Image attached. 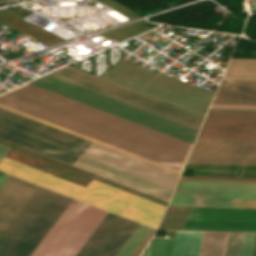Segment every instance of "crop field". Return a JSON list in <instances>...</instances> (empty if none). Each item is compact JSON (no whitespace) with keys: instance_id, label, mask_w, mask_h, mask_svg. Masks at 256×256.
<instances>
[{"instance_id":"crop-field-1","label":"crop field","mask_w":256,"mask_h":256,"mask_svg":"<svg viewBox=\"0 0 256 256\" xmlns=\"http://www.w3.org/2000/svg\"><path fill=\"white\" fill-rule=\"evenodd\" d=\"M0 103L178 170L181 167L183 159L190 145L189 143L183 142L181 140L175 139L173 137L167 136L165 134L159 133L157 131L151 130L149 128L143 127L141 125L135 124L133 122L127 121L125 119L76 102L31 84H28L0 97ZM1 104L0 107L7 110L70 132L125 154L147 161L154 165L176 172L178 174L182 169L181 167L180 171L175 170L173 168L132 154L130 152L124 151L122 149L81 135L79 133L38 119ZM191 146L192 145H190L189 150Z\"/></svg>"},{"instance_id":"crop-field-2","label":"crop field","mask_w":256,"mask_h":256,"mask_svg":"<svg viewBox=\"0 0 256 256\" xmlns=\"http://www.w3.org/2000/svg\"><path fill=\"white\" fill-rule=\"evenodd\" d=\"M71 201L40 187L0 239V256H30ZM106 214L73 200L31 256H75ZM124 220L108 213L76 256H98Z\"/></svg>"},{"instance_id":"crop-field-3","label":"crop field","mask_w":256,"mask_h":256,"mask_svg":"<svg viewBox=\"0 0 256 256\" xmlns=\"http://www.w3.org/2000/svg\"><path fill=\"white\" fill-rule=\"evenodd\" d=\"M49 74L197 130L204 119V117L201 115L171 105L71 66H67ZM49 74L29 83L184 140L191 144L193 143L198 132L195 129L149 113Z\"/></svg>"},{"instance_id":"crop-field-4","label":"crop field","mask_w":256,"mask_h":256,"mask_svg":"<svg viewBox=\"0 0 256 256\" xmlns=\"http://www.w3.org/2000/svg\"><path fill=\"white\" fill-rule=\"evenodd\" d=\"M216 97L256 99V82L222 81ZM213 103L256 104V100L214 99ZM234 104L212 106L256 107ZM228 107H211L198 137L256 139V108ZM215 138H197L193 150L256 153V140ZM209 152H192L187 163L256 165V154Z\"/></svg>"},{"instance_id":"crop-field-5","label":"crop field","mask_w":256,"mask_h":256,"mask_svg":"<svg viewBox=\"0 0 256 256\" xmlns=\"http://www.w3.org/2000/svg\"><path fill=\"white\" fill-rule=\"evenodd\" d=\"M0 170L155 229L166 208L92 179L82 187L5 158Z\"/></svg>"},{"instance_id":"crop-field-6","label":"crop field","mask_w":256,"mask_h":256,"mask_svg":"<svg viewBox=\"0 0 256 256\" xmlns=\"http://www.w3.org/2000/svg\"><path fill=\"white\" fill-rule=\"evenodd\" d=\"M73 166L167 201L179 176L93 142Z\"/></svg>"},{"instance_id":"crop-field-7","label":"crop field","mask_w":256,"mask_h":256,"mask_svg":"<svg viewBox=\"0 0 256 256\" xmlns=\"http://www.w3.org/2000/svg\"><path fill=\"white\" fill-rule=\"evenodd\" d=\"M0 139L70 165L91 143L2 108Z\"/></svg>"},{"instance_id":"crop-field-8","label":"crop field","mask_w":256,"mask_h":256,"mask_svg":"<svg viewBox=\"0 0 256 256\" xmlns=\"http://www.w3.org/2000/svg\"><path fill=\"white\" fill-rule=\"evenodd\" d=\"M103 78L205 115L214 93L124 60Z\"/></svg>"},{"instance_id":"crop-field-9","label":"crop field","mask_w":256,"mask_h":256,"mask_svg":"<svg viewBox=\"0 0 256 256\" xmlns=\"http://www.w3.org/2000/svg\"><path fill=\"white\" fill-rule=\"evenodd\" d=\"M168 206L256 209V181L180 178Z\"/></svg>"},{"instance_id":"crop-field-10","label":"crop field","mask_w":256,"mask_h":256,"mask_svg":"<svg viewBox=\"0 0 256 256\" xmlns=\"http://www.w3.org/2000/svg\"><path fill=\"white\" fill-rule=\"evenodd\" d=\"M188 218L256 220V210L192 208ZM188 219L184 230L256 232V221Z\"/></svg>"},{"instance_id":"crop-field-11","label":"crop field","mask_w":256,"mask_h":256,"mask_svg":"<svg viewBox=\"0 0 256 256\" xmlns=\"http://www.w3.org/2000/svg\"><path fill=\"white\" fill-rule=\"evenodd\" d=\"M36 190L7 180L0 189V238Z\"/></svg>"},{"instance_id":"crop-field-12","label":"crop field","mask_w":256,"mask_h":256,"mask_svg":"<svg viewBox=\"0 0 256 256\" xmlns=\"http://www.w3.org/2000/svg\"><path fill=\"white\" fill-rule=\"evenodd\" d=\"M203 232L176 231L171 256H198Z\"/></svg>"},{"instance_id":"crop-field-13","label":"crop field","mask_w":256,"mask_h":256,"mask_svg":"<svg viewBox=\"0 0 256 256\" xmlns=\"http://www.w3.org/2000/svg\"><path fill=\"white\" fill-rule=\"evenodd\" d=\"M138 226L139 224L126 219L99 256H115Z\"/></svg>"},{"instance_id":"crop-field-14","label":"crop field","mask_w":256,"mask_h":256,"mask_svg":"<svg viewBox=\"0 0 256 256\" xmlns=\"http://www.w3.org/2000/svg\"><path fill=\"white\" fill-rule=\"evenodd\" d=\"M228 233L204 232L199 256H223Z\"/></svg>"},{"instance_id":"crop-field-15","label":"crop field","mask_w":256,"mask_h":256,"mask_svg":"<svg viewBox=\"0 0 256 256\" xmlns=\"http://www.w3.org/2000/svg\"><path fill=\"white\" fill-rule=\"evenodd\" d=\"M151 230L152 228L140 225L117 256H132Z\"/></svg>"},{"instance_id":"crop-field-16","label":"crop field","mask_w":256,"mask_h":256,"mask_svg":"<svg viewBox=\"0 0 256 256\" xmlns=\"http://www.w3.org/2000/svg\"><path fill=\"white\" fill-rule=\"evenodd\" d=\"M173 240L154 238L151 256H170Z\"/></svg>"},{"instance_id":"crop-field-17","label":"crop field","mask_w":256,"mask_h":256,"mask_svg":"<svg viewBox=\"0 0 256 256\" xmlns=\"http://www.w3.org/2000/svg\"><path fill=\"white\" fill-rule=\"evenodd\" d=\"M243 233H229L225 255L238 256Z\"/></svg>"},{"instance_id":"crop-field-18","label":"crop field","mask_w":256,"mask_h":256,"mask_svg":"<svg viewBox=\"0 0 256 256\" xmlns=\"http://www.w3.org/2000/svg\"><path fill=\"white\" fill-rule=\"evenodd\" d=\"M256 234L244 233L239 256H253Z\"/></svg>"},{"instance_id":"crop-field-19","label":"crop field","mask_w":256,"mask_h":256,"mask_svg":"<svg viewBox=\"0 0 256 256\" xmlns=\"http://www.w3.org/2000/svg\"><path fill=\"white\" fill-rule=\"evenodd\" d=\"M9 175H6L4 173L0 172V188L5 183V181L8 179Z\"/></svg>"},{"instance_id":"crop-field-20","label":"crop field","mask_w":256,"mask_h":256,"mask_svg":"<svg viewBox=\"0 0 256 256\" xmlns=\"http://www.w3.org/2000/svg\"><path fill=\"white\" fill-rule=\"evenodd\" d=\"M152 240H153V238H152ZM152 240H151L149 246L147 245L148 246L147 249L145 248L146 250L144 251V253L141 256H150Z\"/></svg>"},{"instance_id":"crop-field-21","label":"crop field","mask_w":256,"mask_h":256,"mask_svg":"<svg viewBox=\"0 0 256 256\" xmlns=\"http://www.w3.org/2000/svg\"><path fill=\"white\" fill-rule=\"evenodd\" d=\"M8 148H5L3 146H0V159L2 156L7 152Z\"/></svg>"},{"instance_id":"crop-field-22","label":"crop field","mask_w":256,"mask_h":256,"mask_svg":"<svg viewBox=\"0 0 256 256\" xmlns=\"http://www.w3.org/2000/svg\"><path fill=\"white\" fill-rule=\"evenodd\" d=\"M254 256H256V246H255Z\"/></svg>"}]
</instances>
